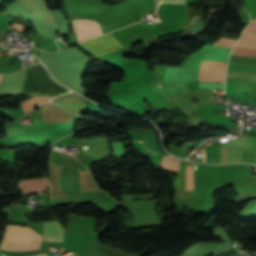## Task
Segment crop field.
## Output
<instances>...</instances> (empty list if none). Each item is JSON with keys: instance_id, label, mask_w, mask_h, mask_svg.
Segmentation results:
<instances>
[{"instance_id": "16", "label": "crop field", "mask_w": 256, "mask_h": 256, "mask_svg": "<svg viewBox=\"0 0 256 256\" xmlns=\"http://www.w3.org/2000/svg\"><path fill=\"white\" fill-rule=\"evenodd\" d=\"M192 170H193V166H187V171H186V190H192V188H193Z\"/></svg>"}, {"instance_id": "20", "label": "crop field", "mask_w": 256, "mask_h": 256, "mask_svg": "<svg viewBox=\"0 0 256 256\" xmlns=\"http://www.w3.org/2000/svg\"><path fill=\"white\" fill-rule=\"evenodd\" d=\"M1 77H2V75H0V82H1Z\"/></svg>"}, {"instance_id": "11", "label": "crop field", "mask_w": 256, "mask_h": 256, "mask_svg": "<svg viewBox=\"0 0 256 256\" xmlns=\"http://www.w3.org/2000/svg\"><path fill=\"white\" fill-rule=\"evenodd\" d=\"M199 161H202V159ZM203 161L208 163H220L219 146L206 148L203 152Z\"/></svg>"}, {"instance_id": "3", "label": "crop field", "mask_w": 256, "mask_h": 256, "mask_svg": "<svg viewBox=\"0 0 256 256\" xmlns=\"http://www.w3.org/2000/svg\"><path fill=\"white\" fill-rule=\"evenodd\" d=\"M225 68L226 64L223 62L203 61L199 71V80L224 82Z\"/></svg>"}, {"instance_id": "4", "label": "crop field", "mask_w": 256, "mask_h": 256, "mask_svg": "<svg viewBox=\"0 0 256 256\" xmlns=\"http://www.w3.org/2000/svg\"><path fill=\"white\" fill-rule=\"evenodd\" d=\"M77 34V43L101 35L97 22L89 20H73Z\"/></svg>"}, {"instance_id": "10", "label": "crop field", "mask_w": 256, "mask_h": 256, "mask_svg": "<svg viewBox=\"0 0 256 256\" xmlns=\"http://www.w3.org/2000/svg\"><path fill=\"white\" fill-rule=\"evenodd\" d=\"M80 172V177H81V183H82V188H83V193L84 195L87 194H93V193H99L100 191H98L92 180H91V176L90 173L87 171H81Z\"/></svg>"}, {"instance_id": "9", "label": "crop field", "mask_w": 256, "mask_h": 256, "mask_svg": "<svg viewBox=\"0 0 256 256\" xmlns=\"http://www.w3.org/2000/svg\"><path fill=\"white\" fill-rule=\"evenodd\" d=\"M151 84L155 87L158 93L167 98L182 94L175 81L165 84L162 82H152Z\"/></svg>"}, {"instance_id": "13", "label": "crop field", "mask_w": 256, "mask_h": 256, "mask_svg": "<svg viewBox=\"0 0 256 256\" xmlns=\"http://www.w3.org/2000/svg\"><path fill=\"white\" fill-rule=\"evenodd\" d=\"M178 164H179L178 160H176L174 158H170V157H165L162 162L163 169L170 171V172H175V173H177Z\"/></svg>"}, {"instance_id": "1", "label": "crop field", "mask_w": 256, "mask_h": 256, "mask_svg": "<svg viewBox=\"0 0 256 256\" xmlns=\"http://www.w3.org/2000/svg\"><path fill=\"white\" fill-rule=\"evenodd\" d=\"M42 239L29 227L9 225L0 249L18 252L39 250Z\"/></svg>"}, {"instance_id": "5", "label": "crop field", "mask_w": 256, "mask_h": 256, "mask_svg": "<svg viewBox=\"0 0 256 256\" xmlns=\"http://www.w3.org/2000/svg\"><path fill=\"white\" fill-rule=\"evenodd\" d=\"M40 112L43 122H68L72 115L52 103L43 105Z\"/></svg>"}, {"instance_id": "6", "label": "crop field", "mask_w": 256, "mask_h": 256, "mask_svg": "<svg viewBox=\"0 0 256 256\" xmlns=\"http://www.w3.org/2000/svg\"><path fill=\"white\" fill-rule=\"evenodd\" d=\"M50 168V199H68L66 194L61 188L60 173L61 167L55 165H49Z\"/></svg>"}, {"instance_id": "7", "label": "crop field", "mask_w": 256, "mask_h": 256, "mask_svg": "<svg viewBox=\"0 0 256 256\" xmlns=\"http://www.w3.org/2000/svg\"><path fill=\"white\" fill-rule=\"evenodd\" d=\"M52 101L78 115L80 113L89 111L84 99L81 97H59Z\"/></svg>"}, {"instance_id": "19", "label": "crop field", "mask_w": 256, "mask_h": 256, "mask_svg": "<svg viewBox=\"0 0 256 256\" xmlns=\"http://www.w3.org/2000/svg\"><path fill=\"white\" fill-rule=\"evenodd\" d=\"M251 24L256 25V19H255V20H253Z\"/></svg>"}, {"instance_id": "12", "label": "crop field", "mask_w": 256, "mask_h": 256, "mask_svg": "<svg viewBox=\"0 0 256 256\" xmlns=\"http://www.w3.org/2000/svg\"><path fill=\"white\" fill-rule=\"evenodd\" d=\"M51 98H53V97L37 96V97L31 98V99L21 103L20 105H21L24 113H26Z\"/></svg>"}, {"instance_id": "17", "label": "crop field", "mask_w": 256, "mask_h": 256, "mask_svg": "<svg viewBox=\"0 0 256 256\" xmlns=\"http://www.w3.org/2000/svg\"><path fill=\"white\" fill-rule=\"evenodd\" d=\"M236 41L237 40H234V39L221 38L216 43H214V45H219V46H225V47L233 48V46L236 43Z\"/></svg>"}, {"instance_id": "8", "label": "crop field", "mask_w": 256, "mask_h": 256, "mask_svg": "<svg viewBox=\"0 0 256 256\" xmlns=\"http://www.w3.org/2000/svg\"><path fill=\"white\" fill-rule=\"evenodd\" d=\"M43 236L45 241L63 243L64 231L57 221L45 222Z\"/></svg>"}, {"instance_id": "14", "label": "crop field", "mask_w": 256, "mask_h": 256, "mask_svg": "<svg viewBox=\"0 0 256 256\" xmlns=\"http://www.w3.org/2000/svg\"><path fill=\"white\" fill-rule=\"evenodd\" d=\"M241 39L256 40V26L247 27Z\"/></svg>"}, {"instance_id": "21", "label": "crop field", "mask_w": 256, "mask_h": 256, "mask_svg": "<svg viewBox=\"0 0 256 256\" xmlns=\"http://www.w3.org/2000/svg\"><path fill=\"white\" fill-rule=\"evenodd\" d=\"M38 256H44V255H38Z\"/></svg>"}, {"instance_id": "2", "label": "crop field", "mask_w": 256, "mask_h": 256, "mask_svg": "<svg viewBox=\"0 0 256 256\" xmlns=\"http://www.w3.org/2000/svg\"><path fill=\"white\" fill-rule=\"evenodd\" d=\"M96 57L121 49L120 45L111 36L110 33L82 43Z\"/></svg>"}, {"instance_id": "18", "label": "crop field", "mask_w": 256, "mask_h": 256, "mask_svg": "<svg viewBox=\"0 0 256 256\" xmlns=\"http://www.w3.org/2000/svg\"><path fill=\"white\" fill-rule=\"evenodd\" d=\"M238 46L256 47V41L240 40Z\"/></svg>"}, {"instance_id": "15", "label": "crop field", "mask_w": 256, "mask_h": 256, "mask_svg": "<svg viewBox=\"0 0 256 256\" xmlns=\"http://www.w3.org/2000/svg\"><path fill=\"white\" fill-rule=\"evenodd\" d=\"M232 54L256 56V49L236 47Z\"/></svg>"}]
</instances>
